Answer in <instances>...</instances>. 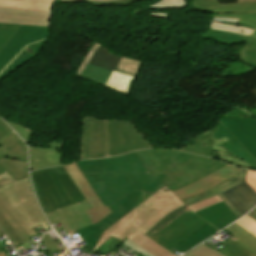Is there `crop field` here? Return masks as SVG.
Returning a JSON list of instances; mask_svg holds the SVG:
<instances>
[{
    "label": "crop field",
    "mask_w": 256,
    "mask_h": 256,
    "mask_svg": "<svg viewBox=\"0 0 256 256\" xmlns=\"http://www.w3.org/2000/svg\"><path fill=\"white\" fill-rule=\"evenodd\" d=\"M119 60L120 57L111 55L105 49L99 47L82 73V76L105 84Z\"/></svg>",
    "instance_id": "22f410ed"
},
{
    "label": "crop field",
    "mask_w": 256,
    "mask_h": 256,
    "mask_svg": "<svg viewBox=\"0 0 256 256\" xmlns=\"http://www.w3.org/2000/svg\"><path fill=\"white\" fill-rule=\"evenodd\" d=\"M251 218H253L256 221V208L252 210L250 213H248Z\"/></svg>",
    "instance_id": "0fb4a251"
},
{
    "label": "crop field",
    "mask_w": 256,
    "mask_h": 256,
    "mask_svg": "<svg viewBox=\"0 0 256 256\" xmlns=\"http://www.w3.org/2000/svg\"><path fill=\"white\" fill-rule=\"evenodd\" d=\"M246 172H247V170L233 176L232 178H230L227 181L223 182L222 184L208 190L207 192L200 194V195L189 197V198L183 200V202L187 206H189L191 204L197 203L206 198L218 195L228 205V207L233 211V213L238 218H240L242 216L238 213V211L231 205V203L224 197V195L221 192L244 181L246 178Z\"/></svg>",
    "instance_id": "4a817a6b"
},
{
    "label": "crop field",
    "mask_w": 256,
    "mask_h": 256,
    "mask_svg": "<svg viewBox=\"0 0 256 256\" xmlns=\"http://www.w3.org/2000/svg\"><path fill=\"white\" fill-rule=\"evenodd\" d=\"M202 37L218 40L229 45L245 42L247 39V37H243L237 34L223 33L212 30H208Z\"/></svg>",
    "instance_id": "750c4746"
},
{
    "label": "crop field",
    "mask_w": 256,
    "mask_h": 256,
    "mask_svg": "<svg viewBox=\"0 0 256 256\" xmlns=\"http://www.w3.org/2000/svg\"><path fill=\"white\" fill-rule=\"evenodd\" d=\"M56 2H62L66 4H78L85 3L90 6H118V5H135L138 2L145 0H54Z\"/></svg>",
    "instance_id": "eef30255"
},
{
    "label": "crop field",
    "mask_w": 256,
    "mask_h": 256,
    "mask_svg": "<svg viewBox=\"0 0 256 256\" xmlns=\"http://www.w3.org/2000/svg\"><path fill=\"white\" fill-rule=\"evenodd\" d=\"M151 172L170 190H177L220 169L228 163L175 150L137 151Z\"/></svg>",
    "instance_id": "412701ff"
},
{
    "label": "crop field",
    "mask_w": 256,
    "mask_h": 256,
    "mask_svg": "<svg viewBox=\"0 0 256 256\" xmlns=\"http://www.w3.org/2000/svg\"><path fill=\"white\" fill-rule=\"evenodd\" d=\"M206 224L208 223L189 211L169 224L156 236L152 235L150 232L145 235L169 250Z\"/></svg>",
    "instance_id": "d8731c3e"
},
{
    "label": "crop field",
    "mask_w": 256,
    "mask_h": 256,
    "mask_svg": "<svg viewBox=\"0 0 256 256\" xmlns=\"http://www.w3.org/2000/svg\"><path fill=\"white\" fill-rule=\"evenodd\" d=\"M127 239L131 240L132 242L144 248L155 256H175L171 252L159 246L154 241L138 231L132 234Z\"/></svg>",
    "instance_id": "00972430"
},
{
    "label": "crop field",
    "mask_w": 256,
    "mask_h": 256,
    "mask_svg": "<svg viewBox=\"0 0 256 256\" xmlns=\"http://www.w3.org/2000/svg\"><path fill=\"white\" fill-rule=\"evenodd\" d=\"M153 148L131 121L100 120L85 116L81 159L118 156Z\"/></svg>",
    "instance_id": "34b2d1b8"
},
{
    "label": "crop field",
    "mask_w": 256,
    "mask_h": 256,
    "mask_svg": "<svg viewBox=\"0 0 256 256\" xmlns=\"http://www.w3.org/2000/svg\"><path fill=\"white\" fill-rule=\"evenodd\" d=\"M238 25H243L249 28H253L256 29V21H247V20H240ZM252 36H256V30L255 32L252 34Z\"/></svg>",
    "instance_id": "73cf0c24"
},
{
    "label": "crop field",
    "mask_w": 256,
    "mask_h": 256,
    "mask_svg": "<svg viewBox=\"0 0 256 256\" xmlns=\"http://www.w3.org/2000/svg\"><path fill=\"white\" fill-rule=\"evenodd\" d=\"M195 5L193 9L214 11L217 5L220 3L219 0H193Z\"/></svg>",
    "instance_id": "0bd39190"
},
{
    "label": "crop field",
    "mask_w": 256,
    "mask_h": 256,
    "mask_svg": "<svg viewBox=\"0 0 256 256\" xmlns=\"http://www.w3.org/2000/svg\"><path fill=\"white\" fill-rule=\"evenodd\" d=\"M34 190L51 224L61 222L70 235L92 225L83 210L91 206L63 166L31 172Z\"/></svg>",
    "instance_id": "ac0d7876"
},
{
    "label": "crop field",
    "mask_w": 256,
    "mask_h": 256,
    "mask_svg": "<svg viewBox=\"0 0 256 256\" xmlns=\"http://www.w3.org/2000/svg\"><path fill=\"white\" fill-rule=\"evenodd\" d=\"M0 228L5 233L6 237L9 239V241L12 243L13 246L17 245V243L14 241V239L10 236V234L7 232V230L4 228V226L0 222Z\"/></svg>",
    "instance_id": "1f2cbd36"
},
{
    "label": "crop field",
    "mask_w": 256,
    "mask_h": 256,
    "mask_svg": "<svg viewBox=\"0 0 256 256\" xmlns=\"http://www.w3.org/2000/svg\"><path fill=\"white\" fill-rule=\"evenodd\" d=\"M14 180H16V179L7 172L3 175H0V186L7 184L9 182H12ZM0 221L3 223V225L9 231V233L12 235V237L15 239V241L18 244H21L22 242L20 241V239L16 236V234L13 232L11 227L8 225V223L4 220V218L1 215H0Z\"/></svg>",
    "instance_id": "e1f06a70"
},
{
    "label": "crop field",
    "mask_w": 256,
    "mask_h": 256,
    "mask_svg": "<svg viewBox=\"0 0 256 256\" xmlns=\"http://www.w3.org/2000/svg\"><path fill=\"white\" fill-rule=\"evenodd\" d=\"M49 27L21 25L12 39L0 51V72L27 45L47 38Z\"/></svg>",
    "instance_id": "3316defc"
},
{
    "label": "crop field",
    "mask_w": 256,
    "mask_h": 256,
    "mask_svg": "<svg viewBox=\"0 0 256 256\" xmlns=\"http://www.w3.org/2000/svg\"><path fill=\"white\" fill-rule=\"evenodd\" d=\"M179 150L215 157L243 168L256 169V160L220 122L218 127L196 135Z\"/></svg>",
    "instance_id": "dd49c442"
},
{
    "label": "crop field",
    "mask_w": 256,
    "mask_h": 256,
    "mask_svg": "<svg viewBox=\"0 0 256 256\" xmlns=\"http://www.w3.org/2000/svg\"><path fill=\"white\" fill-rule=\"evenodd\" d=\"M218 231L215 230L212 226L209 224L206 225L204 228L199 230L197 233H195L193 236L189 237L185 241H183L178 246L174 247L183 254L189 251L191 248L195 247L196 245L200 244L202 241H204L206 238L214 235Z\"/></svg>",
    "instance_id": "730fd06b"
},
{
    "label": "crop field",
    "mask_w": 256,
    "mask_h": 256,
    "mask_svg": "<svg viewBox=\"0 0 256 256\" xmlns=\"http://www.w3.org/2000/svg\"><path fill=\"white\" fill-rule=\"evenodd\" d=\"M122 245H124L126 248L140 256H153L152 254L148 253L147 251H145L144 249L140 248L139 246L135 245L134 243L127 239Z\"/></svg>",
    "instance_id": "5d738f31"
},
{
    "label": "crop field",
    "mask_w": 256,
    "mask_h": 256,
    "mask_svg": "<svg viewBox=\"0 0 256 256\" xmlns=\"http://www.w3.org/2000/svg\"><path fill=\"white\" fill-rule=\"evenodd\" d=\"M184 256H221V255L202 244Z\"/></svg>",
    "instance_id": "c21b1889"
},
{
    "label": "crop field",
    "mask_w": 256,
    "mask_h": 256,
    "mask_svg": "<svg viewBox=\"0 0 256 256\" xmlns=\"http://www.w3.org/2000/svg\"><path fill=\"white\" fill-rule=\"evenodd\" d=\"M20 25L0 23V50L15 34Z\"/></svg>",
    "instance_id": "028f5c9d"
},
{
    "label": "crop field",
    "mask_w": 256,
    "mask_h": 256,
    "mask_svg": "<svg viewBox=\"0 0 256 256\" xmlns=\"http://www.w3.org/2000/svg\"><path fill=\"white\" fill-rule=\"evenodd\" d=\"M233 236L218 244L206 241L210 246L224 256H256V237L244 231L235 223L226 228Z\"/></svg>",
    "instance_id": "5a996713"
},
{
    "label": "crop field",
    "mask_w": 256,
    "mask_h": 256,
    "mask_svg": "<svg viewBox=\"0 0 256 256\" xmlns=\"http://www.w3.org/2000/svg\"><path fill=\"white\" fill-rule=\"evenodd\" d=\"M51 14L0 8V22L49 26Z\"/></svg>",
    "instance_id": "d9b57169"
},
{
    "label": "crop field",
    "mask_w": 256,
    "mask_h": 256,
    "mask_svg": "<svg viewBox=\"0 0 256 256\" xmlns=\"http://www.w3.org/2000/svg\"><path fill=\"white\" fill-rule=\"evenodd\" d=\"M235 223L238 224L243 229H245L246 231H248L249 233L256 236V222L247 215Z\"/></svg>",
    "instance_id": "c035e120"
},
{
    "label": "crop field",
    "mask_w": 256,
    "mask_h": 256,
    "mask_svg": "<svg viewBox=\"0 0 256 256\" xmlns=\"http://www.w3.org/2000/svg\"><path fill=\"white\" fill-rule=\"evenodd\" d=\"M0 164L16 179L29 175L28 170H23V167H27V162L3 158L0 159Z\"/></svg>",
    "instance_id": "ae1a2a85"
},
{
    "label": "crop field",
    "mask_w": 256,
    "mask_h": 256,
    "mask_svg": "<svg viewBox=\"0 0 256 256\" xmlns=\"http://www.w3.org/2000/svg\"><path fill=\"white\" fill-rule=\"evenodd\" d=\"M239 20L240 19L233 18H213L210 29L223 30L251 36L254 30L243 26H237Z\"/></svg>",
    "instance_id": "a9b5d70f"
},
{
    "label": "crop field",
    "mask_w": 256,
    "mask_h": 256,
    "mask_svg": "<svg viewBox=\"0 0 256 256\" xmlns=\"http://www.w3.org/2000/svg\"><path fill=\"white\" fill-rule=\"evenodd\" d=\"M77 165L99 199L113 212L98 223L77 230L93 250L105 229L165 186L156 175H152L136 152L84 160Z\"/></svg>",
    "instance_id": "8a807250"
},
{
    "label": "crop field",
    "mask_w": 256,
    "mask_h": 256,
    "mask_svg": "<svg viewBox=\"0 0 256 256\" xmlns=\"http://www.w3.org/2000/svg\"><path fill=\"white\" fill-rule=\"evenodd\" d=\"M64 167L92 206V208L85 210V212L89 216L93 224L98 222L100 219L107 216L108 214L112 213L109 208L105 207L95 195L94 191L90 187L89 183L81 173L76 163L65 165Z\"/></svg>",
    "instance_id": "28ad6ade"
},
{
    "label": "crop field",
    "mask_w": 256,
    "mask_h": 256,
    "mask_svg": "<svg viewBox=\"0 0 256 256\" xmlns=\"http://www.w3.org/2000/svg\"><path fill=\"white\" fill-rule=\"evenodd\" d=\"M0 152L4 157L27 161V149L14 132L1 146Z\"/></svg>",
    "instance_id": "dafd665d"
},
{
    "label": "crop field",
    "mask_w": 256,
    "mask_h": 256,
    "mask_svg": "<svg viewBox=\"0 0 256 256\" xmlns=\"http://www.w3.org/2000/svg\"><path fill=\"white\" fill-rule=\"evenodd\" d=\"M214 12V17L256 20V2L219 4Z\"/></svg>",
    "instance_id": "214f88e0"
},
{
    "label": "crop field",
    "mask_w": 256,
    "mask_h": 256,
    "mask_svg": "<svg viewBox=\"0 0 256 256\" xmlns=\"http://www.w3.org/2000/svg\"><path fill=\"white\" fill-rule=\"evenodd\" d=\"M0 7L29 11L52 12L53 0H0Z\"/></svg>",
    "instance_id": "92a150f3"
},
{
    "label": "crop field",
    "mask_w": 256,
    "mask_h": 256,
    "mask_svg": "<svg viewBox=\"0 0 256 256\" xmlns=\"http://www.w3.org/2000/svg\"><path fill=\"white\" fill-rule=\"evenodd\" d=\"M0 200L29 236L36 234L32 228L39 225L50 230L36 202L29 177L1 187Z\"/></svg>",
    "instance_id": "e52e79f7"
},
{
    "label": "crop field",
    "mask_w": 256,
    "mask_h": 256,
    "mask_svg": "<svg viewBox=\"0 0 256 256\" xmlns=\"http://www.w3.org/2000/svg\"><path fill=\"white\" fill-rule=\"evenodd\" d=\"M238 2L256 1V0H237Z\"/></svg>",
    "instance_id": "1d79db26"
},
{
    "label": "crop field",
    "mask_w": 256,
    "mask_h": 256,
    "mask_svg": "<svg viewBox=\"0 0 256 256\" xmlns=\"http://www.w3.org/2000/svg\"><path fill=\"white\" fill-rule=\"evenodd\" d=\"M41 242L47 247V249L51 253L65 248V246L58 248L54 241L51 239V237L48 235V233L44 235V237L41 239Z\"/></svg>",
    "instance_id": "d23c7cc5"
},
{
    "label": "crop field",
    "mask_w": 256,
    "mask_h": 256,
    "mask_svg": "<svg viewBox=\"0 0 256 256\" xmlns=\"http://www.w3.org/2000/svg\"><path fill=\"white\" fill-rule=\"evenodd\" d=\"M31 58H33V56H31L30 54H28L26 51L23 50L13 60V62L0 73V80L5 76H7L12 71H14L15 69H17L18 67H20L21 65H23L24 63H26L27 61H29Z\"/></svg>",
    "instance_id": "5866460e"
},
{
    "label": "crop field",
    "mask_w": 256,
    "mask_h": 256,
    "mask_svg": "<svg viewBox=\"0 0 256 256\" xmlns=\"http://www.w3.org/2000/svg\"><path fill=\"white\" fill-rule=\"evenodd\" d=\"M0 214L5 218V220L9 223L12 229L15 231L17 236L21 239L23 243L31 240L32 243L37 247V244L34 243L33 239L30 238L24 230L19 226V224L15 221V219L10 215V213L6 210L3 204L0 202Z\"/></svg>",
    "instance_id": "bd1437ed"
},
{
    "label": "crop field",
    "mask_w": 256,
    "mask_h": 256,
    "mask_svg": "<svg viewBox=\"0 0 256 256\" xmlns=\"http://www.w3.org/2000/svg\"><path fill=\"white\" fill-rule=\"evenodd\" d=\"M187 6L186 0H158L147 9H181L187 8Z\"/></svg>",
    "instance_id": "120bbe31"
},
{
    "label": "crop field",
    "mask_w": 256,
    "mask_h": 256,
    "mask_svg": "<svg viewBox=\"0 0 256 256\" xmlns=\"http://www.w3.org/2000/svg\"><path fill=\"white\" fill-rule=\"evenodd\" d=\"M63 140L42 146L29 147L30 170L62 165Z\"/></svg>",
    "instance_id": "cbeb9de0"
},
{
    "label": "crop field",
    "mask_w": 256,
    "mask_h": 256,
    "mask_svg": "<svg viewBox=\"0 0 256 256\" xmlns=\"http://www.w3.org/2000/svg\"><path fill=\"white\" fill-rule=\"evenodd\" d=\"M219 202H222V200L218 196H216V197H213V198L206 199V200H204L202 202H199L197 204H194L192 206H189V208L193 212H196L198 210H201L203 208H206V207H209L211 205L217 204Z\"/></svg>",
    "instance_id": "03da06ac"
},
{
    "label": "crop field",
    "mask_w": 256,
    "mask_h": 256,
    "mask_svg": "<svg viewBox=\"0 0 256 256\" xmlns=\"http://www.w3.org/2000/svg\"><path fill=\"white\" fill-rule=\"evenodd\" d=\"M219 121L256 159V118H221Z\"/></svg>",
    "instance_id": "d1516ede"
},
{
    "label": "crop field",
    "mask_w": 256,
    "mask_h": 256,
    "mask_svg": "<svg viewBox=\"0 0 256 256\" xmlns=\"http://www.w3.org/2000/svg\"><path fill=\"white\" fill-rule=\"evenodd\" d=\"M99 46H101V45H100V43H98L97 41H95V42L91 45V47H90V49H89L87 55H86V56L84 57V59L82 60L80 66H79V68H78V70H77V72H76L77 75H81V73L83 72L84 68H85L86 65L88 64V62H89L91 56L93 55V53L96 51V49H97ZM107 51H108V50H107ZM108 52H109V51H108ZM109 53H110V52H109ZM111 54H112V53H111ZM120 57H121V56H120ZM120 61L139 65L138 71H137L136 74L118 70L119 73L126 74V75H129V76L134 77L133 80L130 82V84H129L128 88H127L126 93H124V92H122V91H119V90H116V89H114V88L108 87V86H106V85H102V84H100V85L105 86V87H108V88H111V89H113V90H116V91H119V92H121V93H124V94H127V95H128L130 85H131V83L134 81V79L137 77L142 62L136 61V60H133V59H129V58H125V57H122ZM86 79H87V78H86ZM93 82H94V81H93ZM98 84H99V83H98Z\"/></svg>",
    "instance_id": "4177f3b9"
},
{
    "label": "crop field",
    "mask_w": 256,
    "mask_h": 256,
    "mask_svg": "<svg viewBox=\"0 0 256 256\" xmlns=\"http://www.w3.org/2000/svg\"><path fill=\"white\" fill-rule=\"evenodd\" d=\"M137 67L138 66H136V65H131V64L122 63V62H120L119 65H118L119 69L134 72V73H136Z\"/></svg>",
    "instance_id": "25e5ab78"
},
{
    "label": "crop field",
    "mask_w": 256,
    "mask_h": 256,
    "mask_svg": "<svg viewBox=\"0 0 256 256\" xmlns=\"http://www.w3.org/2000/svg\"><path fill=\"white\" fill-rule=\"evenodd\" d=\"M244 169L235 167L233 165H227L220 170L212 173L211 175L188 185L180 190L174 191V193L181 199H185L189 196L200 194L220 183L232 177L233 175L243 171Z\"/></svg>",
    "instance_id": "5142ce71"
},
{
    "label": "crop field",
    "mask_w": 256,
    "mask_h": 256,
    "mask_svg": "<svg viewBox=\"0 0 256 256\" xmlns=\"http://www.w3.org/2000/svg\"><path fill=\"white\" fill-rule=\"evenodd\" d=\"M223 194L243 216L256 205V192L245 181Z\"/></svg>",
    "instance_id": "733c2abd"
},
{
    "label": "crop field",
    "mask_w": 256,
    "mask_h": 256,
    "mask_svg": "<svg viewBox=\"0 0 256 256\" xmlns=\"http://www.w3.org/2000/svg\"><path fill=\"white\" fill-rule=\"evenodd\" d=\"M0 256H5L4 252L0 253Z\"/></svg>",
    "instance_id": "447ae74e"
},
{
    "label": "crop field",
    "mask_w": 256,
    "mask_h": 256,
    "mask_svg": "<svg viewBox=\"0 0 256 256\" xmlns=\"http://www.w3.org/2000/svg\"><path fill=\"white\" fill-rule=\"evenodd\" d=\"M14 131L0 118V145L13 133ZM3 156L0 153V158ZM6 170L0 165V174Z\"/></svg>",
    "instance_id": "b80d0937"
},
{
    "label": "crop field",
    "mask_w": 256,
    "mask_h": 256,
    "mask_svg": "<svg viewBox=\"0 0 256 256\" xmlns=\"http://www.w3.org/2000/svg\"><path fill=\"white\" fill-rule=\"evenodd\" d=\"M22 138L25 142H27L30 134L31 129L28 127L16 125L14 123L7 122Z\"/></svg>",
    "instance_id": "b54c1fbb"
},
{
    "label": "crop field",
    "mask_w": 256,
    "mask_h": 256,
    "mask_svg": "<svg viewBox=\"0 0 256 256\" xmlns=\"http://www.w3.org/2000/svg\"><path fill=\"white\" fill-rule=\"evenodd\" d=\"M46 40L36 43V44H33V45H30V46H27V47H29L30 49H32L33 51H35L38 54V52L40 51L41 47L46 42Z\"/></svg>",
    "instance_id": "89e229c0"
},
{
    "label": "crop field",
    "mask_w": 256,
    "mask_h": 256,
    "mask_svg": "<svg viewBox=\"0 0 256 256\" xmlns=\"http://www.w3.org/2000/svg\"><path fill=\"white\" fill-rule=\"evenodd\" d=\"M196 214L219 230L238 219L224 202L198 211Z\"/></svg>",
    "instance_id": "bc2a9ffb"
},
{
    "label": "crop field",
    "mask_w": 256,
    "mask_h": 256,
    "mask_svg": "<svg viewBox=\"0 0 256 256\" xmlns=\"http://www.w3.org/2000/svg\"><path fill=\"white\" fill-rule=\"evenodd\" d=\"M149 16L169 20V14H149Z\"/></svg>",
    "instance_id": "dbb93151"
},
{
    "label": "crop field",
    "mask_w": 256,
    "mask_h": 256,
    "mask_svg": "<svg viewBox=\"0 0 256 256\" xmlns=\"http://www.w3.org/2000/svg\"><path fill=\"white\" fill-rule=\"evenodd\" d=\"M131 79L132 77L113 72L107 80L106 85L125 92Z\"/></svg>",
    "instance_id": "d32e631a"
},
{
    "label": "crop field",
    "mask_w": 256,
    "mask_h": 256,
    "mask_svg": "<svg viewBox=\"0 0 256 256\" xmlns=\"http://www.w3.org/2000/svg\"><path fill=\"white\" fill-rule=\"evenodd\" d=\"M238 54L243 62L256 67V38L249 37Z\"/></svg>",
    "instance_id": "d3111659"
},
{
    "label": "crop field",
    "mask_w": 256,
    "mask_h": 256,
    "mask_svg": "<svg viewBox=\"0 0 256 256\" xmlns=\"http://www.w3.org/2000/svg\"><path fill=\"white\" fill-rule=\"evenodd\" d=\"M183 205L185 204L173 192L161 189L104 231L96 248L111 236L124 242L137 230L145 234L167 214ZM137 221L140 222L138 225L135 224Z\"/></svg>",
    "instance_id": "f4fd0767"
},
{
    "label": "crop field",
    "mask_w": 256,
    "mask_h": 256,
    "mask_svg": "<svg viewBox=\"0 0 256 256\" xmlns=\"http://www.w3.org/2000/svg\"><path fill=\"white\" fill-rule=\"evenodd\" d=\"M246 181L256 191V171L248 170Z\"/></svg>",
    "instance_id": "425ffa30"
},
{
    "label": "crop field",
    "mask_w": 256,
    "mask_h": 256,
    "mask_svg": "<svg viewBox=\"0 0 256 256\" xmlns=\"http://www.w3.org/2000/svg\"><path fill=\"white\" fill-rule=\"evenodd\" d=\"M190 210L186 205L173 211L168 216H166L164 219H162L158 224H156L150 232L153 234L159 233L163 228H165L169 223H171L173 220L181 216L186 211Z\"/></svg>",
    "instance_id": "1d83c4d3"
},
{
    "label": "crop field",
    "mask_w": 256,
    "mask_h": 256,
    "mask_svg": "<svg viewBox=\"0 0 256 256\" xmlns=\"http://www.w3.org/2000/svg\"><path fill=\"white\" fill-rule=\"evenodd\" d=\"M0 236H3V233L0 231ZM0 252H2V250L0 249Z\"/></svg>",
    "instance_id": "9d1cf04e"
}]
</instances>
